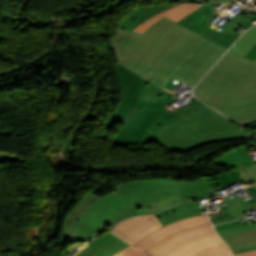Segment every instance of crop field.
<instances>
[{"label":"crop field","mask_w":256,"mask_h":256,"mask_svg":"<svg viewBox=\"0 0 256 256\" xmlns=\"http://www.w3.org/2000/svg\"><path fill=\"white\" fill-rule=\"evenodd\" d=\"M245 17H247L251 21L256 19V10L254 9L252 12L248 13L247 15H245Z\"/></svg>","instance_id":"29"},{"label":"crop field","mask_w":256,"mask_h":256,"mask_svg":"<svg viewBox=\"0 0 256 256\" xmlns=\"http://www.w3.org/2000/svg\"><path fill=\"white\" fill-rule=\"evenodd\" d=\"M239 25L244 26L246 28L250 27L251 25H253L250 21H248L243 15H241L240 13L232 18L230 21H228L224 26H223V30L230 32L234 35H236L234 37V39L229 43V45L227 46V48L233 43V41L239 36V34L233 32Z\"/></svg>","instance_id":"21"},{"label":"crop field","mask_w":256,"mask_h":256,"mask_svg":"<svg viewBox=\"0 0 256 256\" xmlns=\"http://www.w3.org/2000/svg\"><path fill=\"white\" fill-rule=\"evenodd\" d=\"M221 112L237 121H256V97Z\"/></svg>","instance_id":"17"},{"label":"crop field","mask_w":256,"mask_h":256,"mask_svg":"<svg viewBox=\"0 0 256 256\" xmlns=\"http://www.w3.org/2000/svg\"><path fill=\"white\" fill-rule=\"evenodd\" d=\"M211 226V223H208V224H204V225H200V226H196V227H192V228H189L187 230H184V231H181V232H178L176 234H173L165 239H163L162 241H160L159 243H157L156 245H154L152 248H150L148 251H146L148 254H152L153 252H155L159 247H161L163 244L171 241L172 239L184 234V233H187V232H190V231H193V230H197V229H202V228H206V227H210ZM164 246V245H163Z\"/></svg>","instance_id":"23"},{"label":"crop field","mask_w":256,"mask_h":256,"mask_svg":"<svg viewBox=\"0 0 256 256\" xmlns=\"http://www.w3.org/2000/svg\"><path fill=\"white\" fill-rule=\"evenodd\" d=\"M208 222H210V221L207 217V214H200L195 217L187 218V219L169 224L167 226H164V227L152 232L151 234L144 237L143 239H141L134 245H136L137 247L146 251L147 249H149L151 246H153L154 244H156L163 238H165L175 232L184 230V229L192 227V226L208 223Z\"/></svg>","instance_id":"9"},{"label":"crop field","mask_w":256,"mask_h":256,"mask_svg":"<svg viewBox=\"0 0 256 256\" xmlns=\"http://www.w3.org/2000/svg\"><path fill=\"white\" fill-rule=\"evenodd\" d=\"M207 210L206 207H198V201H190L176 205L174 207L168 208L161 212L156 213V216L162 223V225H167L169 223L195 216L200 214V211Z\"/></svg>","instance_id":"13"},{"label":"crop field","mask_w":256,"mask_h":256,"mask_svg":"<svg viewBox=\"0 0 256 256\" xmlns=\"http://www.w3.org/2000/svg\"><path fill=\"white\" fill-rule=\"evenodd\" d=\"M256 245V242L255 243H249V244H245V245H241V246H236V247H232L231 250H237V249H241V248H245V247H249V246H254Z\"/></svg>","instance_id":"30"},{"label":"crop field","mask_w":256,"mask_h":256,"mask_svg":"<svg viewBox=\"0 0 256 256\" xmlns=\"http://www.w3.org/2000/svg\"><path fill=\"white\" fill-rule=\"evenodd\" d=\"M133 256H149V255H147V254H145L144 252L141 251V252H139V253H137Z\"/></svg>","instance_id":"33"},{"label":"crop field","mask_w":256,"mask_h":256,"mask_svg":"<svg viewBox=\"0 0 256 256\" xmlns=\"http://www.w3.org/2000/svg\"><path fill=\"white\" fill-rule=\"evenodd\" d=\"M194 33L164 17L141 34L128 58L160 70Z\"/></svg>","instance_id":"4"},{"label":"crop field","mask_w":256,"mask_h":256,"mask_svg":"<svg viewBox=\"0 0 256 256\" xmlns=\"http://www.w3.org/2000/svg\"><path fill=\"white\" fill-rule=\"evenodd\" d=\"M220 208L222 209L221 212L210 214V218L214 225L235 220V217L233 216V214L230 212L226 205L221 206Z\"/></svg>","instance_id":"22"},{"label":"crop field","mask_w":256,"mask_h":256,"mask_svg":"<svg viewBox=\"0 0 256 256\" xmlns=\"http://www.w3.org/2000/svg\"><path fill=\"white\" fill-rule=\"evenodd\" d=\"M235 256H256V250L236 254Z\"/></svg>","instance_id":"28"},{"label":"crop field","mask_w":256,"mask_h":256,"mask_svg":"<svg viewBox=\"0 0 256 256\" xmlns=\"http://www.w3.org/2000/svg\"><path fill=\"white\" fill-rule=\"evenodd\" d=\"M190 1L210 2V1H217V0H190Z\"/></svg>","instance_id":"34"},{"label":"crop field","mask_w":256,"mask_h":256,"mask_svg":"<svg viewBox=\"0 0 256 256\" xmlns=\"http://www.w3.org/2000/svg\"><path fill=\"white\" fill-rule=\"evenodd\" d=\"M4 37H6V36L0 34V40H2Z\"/></svg>","instance_id":"36"},{"label":"crop field","mask_w":256,"mask_h":256,"mask_svg":"<svg viewBox=\"0 0 256 256\" xmlns=\"http://www.w3.org/2000/svg\"><path fill=\"white\" fill-rule=\"evenodd\" d=\"M243 171L246 172L247 170L244 169ZM249 177H250V176H249Z\"/></svg>","instance_id":"37"},{"label":"crop field","mask_w":256,"mask_h":256,"mask_svg":"<svg viewBox=\"0 0 256 256\" xmlns=\"http://www.w3.org/2000/svg\"><path fill=\"white\" fill-rule=\"evenodd\" d=\"M225 50L226 48L195 33L164 65L160 73L172 76L193 88Z\"/></svg>","instance_id":"5"},{"label":"crop field","mask_w":256,"mask_h":256,"mask_svg":"<svg viewBox=\"0 0 256 256\" xmlns=\"http://www.w3.org/2000/svg\"><path fill=\"white\" fill-rule=\"evenodd\" d=\"M256 44V26L249 29L230 49L238 54H245Z\"/></svg>","instance_id":"18"},{"label":"crop field","mask_w":256,"mask_h":256,"mask_svg":"<svg viewBox=\"0 0 256 256\" xmlns=\"http://www.w3.org/2000/svg\"><path fill=\"white\" fill-rule=\"evenodd\" d=\"M253 132H255V133H256V130H255V131H253Z\"/></svg>","instance_id":"38"},{"label":"crop field","mask_w":256,"mask_h":256,"mask_svg":"<svg viewBox=\"0 0 256 256\" xmlns=\"http://www.w3.org/2000/svg\"><path fill=\"white\" fill-rule=\"evenodd\" d=\"M249 224L246 220L240 222V220H236V221H232V222H228L222 225H218L215 226L216 231L218 230H222V229H226V228H230V227H234V226H240V225H246Z\"/></svg>","instance_id":"25"},{"label":"crop field","mask_w":256,"mask_h":256,"mask_svg":"<svg viewBox=\"0 0 256 256\" xmlns=\"http://www.w3.org/2000/svg\"><path fill=\"white\" fill-rule=\"evenodd\" d=\"M194 93L218 111L252 98L256 96V62L229 51Z\"/></svg>","instance_id":"3"},{"label":"crop field","mask_w":256,"mask_h":256,"mask_svg":"<svg viewBox=\"0 0 256 256\" xmlns=\"http://www.w3.org/2000/svg\"><path fill=\"white\" fill-rule=\"evenodd\" d=\"M180 202H184V199L181 197V195L157 200L149 205L140 208L139 210L145 214H151L162 209H165L167 207H170L172 205L178 204Z\"/></svg>","instance_id":"20"},{"label":"crop field","mask_w":256,"mask_h":256,"mask_svg":"<svg viewBox=\"0 0 256 256\" xmlns=\"http://www.w3.org/2000/svg\"><path fill=\"white\" fill-rule=\"evenodd\" d=\"M213 227L184 234L165 244L152 256H190L210 246L222 244Z\"/></svg>","instance_id":"6"},{"label":"crop field","mask_w":256,"mask_h":256,"mask_svg":"<svg viewBox=\"0 0 256 256\" xmlns=\"http://www.w3.org/2000/svg\"><path fill=\"white\" fill-rule=\"evenodd\" d=\"M116 32L109 45L115 52L123 99L105 128L111 129L118 122L124 125L111 143L155 142L168 152L185 153L207 143L254 138L193 97L173 111L167 108L176 100L162 90L164 85L171 82L167 88L171 91L181 82L126 58L140 34L120 28Z\"/></svg>","instance_id":"1"},{"label":"crop field","mask_w":256,"mask_h":256,"mask_svg":"<svg viewBox=\"0 0 256 256\" xmlns=\"http://www.w3.org/2000/svg\"><path fill=\"white\" fill-rule=\"evenodd\" d=\"M214 164L228 165L229 171L190 182L152 180L119 184L115 193L102 197L88 192L67 214L59 245L89 241L107 230L103 225L130 207L131 203L154 191L177 186L185 201L207 199L206 194L242 180L235 165L220 158L215 160Z\"/></svg>","instance_id":"2"},{"label":"crop field","mask_w":256,"mask_h":256,"mask_svg":"<svg viewBox=\"0 0 256 256\" xmlns=\"http://www.w3.org/2000/svg\"><path fill=\"white\" fill-rule=\"evenodd\" d=\"M162 227L155 214L135 217L121 222L111 230L114 234L134 244L152 231Z\"/></svg>","instance_id":"8"},{"label":"crop field","mask_w":256,"mask_h":256,"mask_svg":"<svg viewBox=\"0 0 256 256\" xmlns=\"http://www.w3.org/2000/svg\"><path fill=\"white\" fill-rule=\"evenodd\" d=\"M175 195H179V192H178L176 187L152 193V194L142 198L141 200L133 203L132 207H130L129 209L125 210L124 212H122L121 214L116 216L109 223H107L105 225V227H107L109 229L112 226H114L116 223H118V222H120V221H122V220H124L126 218L132 217L134 215H141V214H143L142 212H140L138 210V208L142 207V206H144V205H146V204H148V203H150V202H152L154 200L165 198V197H169V196H175Z\"/></svg>","instance_id":"14"},{"label":"crop field","mask_w":256,"mask_h":256,"mask_svg":"<svg viewBox=\"0 0 256 256\" xmlns=\"http://www.w3.org/2000/svg\"><path fill=\"white\" fill-rule=\"evenodd\" d=\"M225 204L229 207L231 212L234 214L236 219L245 216V212L255 210L256 202L244 206L242 201L239 200L238 196L230 198L229 196L223 197Z\"/></svg>","instance_id":"19"},{"label":"crop field","mask_w":256,"mask_h":256,"mask_svg":"<svg viewBox=\"0 0 256 256\" xmlns=\"http://www.w3.org/2000/svg\"><path fill=\"white\" fill-rule=\"evenodd\" d=\"M227 250H229L228 247L225 244H222V245L210 247V248H208L202 252L196 253L192 256H212V255H215L217 253L227 251Z\"/></svg>","instance_id":"24"},{"label":"crop field","mask_w":256,"mask_h":256,"mask_svg":"<svg viewBox=\"0 0 256 256\" xmlns=\"http://www.w3.org/2000/svg\"><path fill=\"white\" fill-rule=\"evenodd\" d=\"M253 249H256V246L250 247V248H246V249H242V250H238V251H234L233 254L244 252V251H248V250H253Z\"/></svg>","instance_id":"31"},{"label":"crop field","mask_w":256,"mask_h":256,"mask_svg":"<svg viewBox=\"0 0 256 256\" xmlns=\"http://www.w3.org/2000/svg\"><path fill=\"white\" fill-rule=\"evenodd\" d=\"M139 251H141V250H139L131 245V246L127 247L126 249L122 250L121 252L117 253L114 256H131Z\"/></svg>","instance_id":"26"},{"label":"crop field","mask_w":256,"mask_h":256,"mask_svg":"<svg viewBox=\"0 0 256 256\" xmlns=\"http://www.w3.org/2000/svg\"><path fill=\"white\" fill-rule=\"evenodd\" d=\"M248 126H250V127H252V128H256V124H250V125H248Z\"/></svg>","instance_id":"35"},{"label":"crop field","mask_w":256,"mask_h":256,"mask_svg":"<svg viewBox=\"0 0 256 256\" xmlns=\"http://www.w3.org/2000/svg\"><path fill=\"white\" fill-rule=\"evenodd\" d=\"M246 194L252 198L243 200L244 205L256 201V186L244 188ZM218 234L224 239L229 247L256 241V224L234 227L219 231Z\"/></svg>","instance_id":"10"},{"label":"crop field","mask_w":256,"mask_h":256,"mask_svg":"<svg viewBox=\"0 0 256 256\" xmlns=\"http://www.w3.org/2000/svg\"><path fill=\"white\" fill-rule=\"evenodd\" d=\"M176 4H180V3H172V4H164V5H156V6H137L121 19L117 27L132 31L141 22L145 21L149 17L157 13H160Z\"/></svg>","instance_id":"12"},{"label":"crop field","mask_w":256,"mask_h":256,"mask_svg":"<svg viewBox=\"0 0 256 256\" xmlns=\"http://www.w3.org/2000/svg\"><path fill=\"white\" fill-rule=\"evenodd\" d=\"M215 256H233V254L230 251H228V252L220 253V254L215 255Z\"/></svg>","instance_id":"32"},{"label":"crop field","mask_w":256,"mask_h":256,"mask_svg":"<svg viewBox=\"0 0 256 256\" xmlns=\"http://www.w3.org/2000/svg\"><path fill=\"white\" fill-rule=\"evenodd\" d=\"M247 58L255 61L256 60V45L246 54Z\"/></svg>","instance_id":"27"},{"label":"crop field","mask_w":256,"mask_h":256,"mask_svg":"<svg viewBox=\"0 0 256 256\" xmlns=\"http://www.w3.org/2000/svg\"><path fill=\"white\" fill-rule=\"evenodd\" d=\"M203 4H196V3H183L181 5H176L148 20L141 23L134 32L142 33L144 30H146L149 26H151L155 21H157L159 18L166 16L174 21H179L189 13L193 12Z\"/></svg>","instance_id":"16"},{"label":"crop field","mask_w":256,"mask_h":256,"mask_svg":"<svg viewBox=\"0 0 256 256\" xmlns=\"http://www.w3.org/2000/svg\"><path fill=\"white\" fill-rule=\"evenodd\" d=\"M224 2L226 1L205 4L180 20L178 23L226 47L234 35L220 30L221 27L216 24H207V21L212 17V15L219 11L216 8L212 9L211 6Z\"/></svg>","instance_id":"7"},{"label":"crop field","mask_w":256,"mask_h":256,"mask_svg":"<svg viewBox=\"0 0 256 256\" xmlns=\"http://www.w3.org/2000/svg\"><path fill=\"white\" fill-rule=\"evenodd\" d=\"M220 158H223V159L237 165V167L239 164H241L245 169L248 170L247 173L250 174L252 176V178H249L246 173H244L238 169L244 183L248 182V181H253V180L256 181V161L252 160L249 157V155L247 154V152L245 150V145L227 153L226 155H224ZM244 168H242V169H244Z\"/></svg>","instance_id":"15"},{"label":"crop field","mask_w":256,"mask_h":256,"mask_svg":"<svg viewBox=\"0 0 256 256\" xmlns=\"http://www.w3.org/2000/svg\"><path fill=\"white\" fill-rule=\"evenodd\" d=\"M131 244L106 232L89 242L76 256H112Z\"/></svg>","instance_id":"11"}]
</instances>
